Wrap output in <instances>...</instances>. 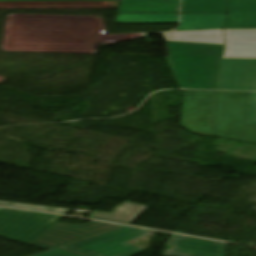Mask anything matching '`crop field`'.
<instances>
[{"label": "crop field", "instance_id": "obj_1", "mask_svg": "<svg viewBox=\"0 0 256 256\" xmlns=\"http://www.w3.org/2000/svg\"><path fill=\"white\" fill-rule=\"evenodd\" d=\"M181 125L193 133L256 144V93L185 91Z\"/></svg>", "mask_w": 256, "mask_h": 256}, {"label": "crop field", "instance_id": "obj_2", "mask_svg": "<svg viewBox=\"0 0 256 256\" xmlns=\"http://www.w3.org/2000/svg\"><path fill=\"white\" fill-rule=\"evenodd\" d=\"M63 217L16 210H0V236L53 248L122 226L90 222L58 223Z\"/></svg>", "mask_w": 256, "mask_h": 256}, {"label": "crop field", "instance_id": "obj_3", "mask_svg": "<svg viewBox=\"0 0 256 256\" xmlns=\"http://www.w3.org/2000/svg\"><path fill=\"white\" fill-rule=\"evenodd\" d=\"M217 90L256 91V29L225 30Z\"/></svg>", "mask_w": 256, "mask_h": 256}, {"label": "crop field", "instance_id": "obj_4", "mask_svg": "<svg viewBox=\"0 0 256 256\" xmlns=\"http://www.w3.org/2000/svg\"><path fill=\"white\" fill-rule=\"evenodd\" d=\"M172 70L181 89L214 90L223 45L167 42Z\"/></svg>", "mask_w": 256, "mask_h": 256}, {"label": "crop field", "instance_id": "obj_5", "mask_svg": "<svg viewBox=\"0 0 256 256\" xmlns=\"http://www.w3.org/2000/svg\"><path fill=\"white\" fill-rule=\"evenodd\" d=\"M151 231L123 227L60 248L87 256H133L144 248L130 244V241L150 234Z\"/></svg>", "mask_w": 256, "mask_h": 256}, {"label": "crop field", "instance_id": "obj_6", "mask_svg": "<svg viewBox=\"0 0 256 256\" xmlns=\"http://www.w3.org/2000/svg\"><path fill=\"white\" fill-rule=\"evenodd\" d=\"M163 256H225L226 244L173 235Z\"/></svg>", "mask_w": 256, "mask_h": 256}, {"label": "crop field", "instance_id": "obj_7", "mask_svg": "<svg viewBox=\"0 0 256 256\" xmlns=\"http://www.w3.org/2000/svg\"><path fill=\"white\" fill-rule=\"evenodd\" d=\"M225 29L256 28V0H228Z\"/></svg>", "mask_w": 256, "mask_h": 256}, {"label": "crop field", "instance_id": "obj_8", "mask_svg": "<svg viewBox=\"0 0 256 256\" xmlns=\"http://www.w3.org/2000/svg\"><path fill=\"white\" fill-rule=\"evenodd\" d=\"M179 0H121L119 13H177Z\"/></svg>", "mask_w": 256, "mask_h": 256}, {"label": "crop field", "instance_id": "obj_9", "mask_svg": "<svg viewBox=\"0 0 256 256\" xmlns=\"http://www.w3.org/2000/svg\"><path fill=\"white\" fill-rule=\"evenodd\" d=\"M146 208V206L126 202L117 207L111 214L94 211L89 218L132 225Z\"/></svg>", "mask_w": 256, "mask_h": 256}, {"label": "crop field", "instance_id": "obj_10", "mask_svg": "<svg viewBox=\"0 0 256 256\" xmlns=\"http://www.w3.org/2000/svg\"><path fill=\"white\" fill-rule=\"evenodd\" d=\"M164 35L167 41L172 42L223 44L222 30L176 31Z\"/></svg>", "mask_w": 256, "mask_h": 256}, {"label": "crop field", "instance_id": "obj_11", "mask_svg": "<svg viewBox=\"0 0 256 256\" xmlns=\"http://www.w3.org/2000/svg\"><path fill=\"white\" fill-rule=\"evenodd\" d=\"M226 15H182L177 30L222 29Z\"/></svg>", "mask_w": 256, "mask_h": 256}, {"label": "crop field", "instance_id": "obj_12", "mask_svg": "<svg viewBox=\"0 0 256 256\" xmlns=\"http://www.w3.org/2000/svg\"><path fill=\"white\" fill-rule=\"evenodd\" d=\"M182 13H226L225 0H182Z\"/></svg>", "mask_w": 256, "mask_h": 256}, {"label": "crop field", "instance_id": "obj_13", "mask_svg": "<svg viewBox=\"0 0 256 256\" xmlns=\"http://www.w3.org/2000/svg\"><path fill=\"white\" fill-rule=\"evenodd\" d=\"M178 14H118L116 23H177Z\"/></svg>", "mask_w": 256, "mask_h": 256}, {"label": "crop field", "instance_id": "obj_14", "mask_svg": "<svg viewBox=\"0 0 256 256\" xmlns=\"http://www.w3.org/2000/svg\"><path fill=\"white\" fill-rule=\"evenodd\" d=\"M1 206H9V207H17V208H25V209H33V210H41L55 213H63L68 214L71 210L67 209H59V208H51V207H43V206H34V205H26V204H18V203H9V202H1Z\"/></svg>", "mask_w": 256, "mask_h": 256}, {"label": "crop field", "instance_id": "obj_15", "mask_svg": "<svg viewBox=\"0 0 256 256\" xmlns=\"http://www.w3.org/2000/svg\"><path fill=\"white\" fill-rule=\"evenodd\" d=\"M32 256H82V255H78L75 253L67 252V251L56 248V249L48 250Z\"/></svg>", "mask_w": 256, "mask_h": 256}, {"label": "crop field", "instance_id": "obj_16", "mask_svg": "<svg viewBox=\"0 0 256 256\" xmlns=\"http://www.w3.org/2000/svg\"><path fill=\"white\" fill-rule=\"evenodd\" d=\"M0 1H118V0H0Z\"/></svg>", "mask_w": 256, "mask_h": 256}]
</instances>
